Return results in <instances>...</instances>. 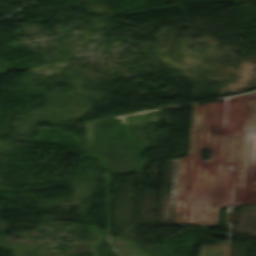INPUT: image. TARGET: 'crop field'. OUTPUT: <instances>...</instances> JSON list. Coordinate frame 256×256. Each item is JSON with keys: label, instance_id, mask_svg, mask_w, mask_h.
<instances>
[{"label": "crop field", "instance_id": "crop-field-1", "mask_svg": "<svg viewBox=\"0 0 256 256\" xmlns=\"http://www.w3.org/2000/svg\"><path fill=\"white\" fill-rule=\"evenodd\" d=\"M224 106L225 101L193 107L188 156L179 166L174 222L216 224L219 206L243 203L250 133L256 132V94L230 98L225 124ZM201 149L212 151L211 161H199Z\"/></svg>", "mask_w": 256, "mask_h": 256}, {"label": "crop field", "instance_id": "crop-field-2", "mask_svg": "<svg viewBox=\"0 0 256 256\" xmlns=\"http://www.w3.org/2000/svg\"><path fill=\"white\" fill-rule=\"evenodd\" d=\"M231 244L201 247L200 256H230Z\"/></svg>", "mask_w": 256, "mask_h": 256}]
</instances>
